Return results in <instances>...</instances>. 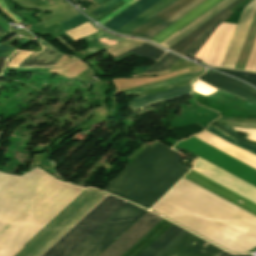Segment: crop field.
<instances>
[{"mask_svg": "<svg viewBox=\"0 0 256 256\" xmlns=\"http://www.w3.org/2000/svg\"><path fill=\"white\" fill-rule=\"evenodd\" d=\"M205 0H194L193 2H191L190 4H188L186 7H184L183 9H181L179 12H177L176 14H174L172 17H170L169 19H167L165 22H163L162 24H160L158 27H156L155 29H153L151 32H149L148 34H146L144 37L148 38V39H152L154 38L156 35H158L159 33H161L162 31H164L166 28H168L169 26H171L173 23H175L176 21H178L180 18H182L183 16H185L187 13H189L190 11H192L194 8H196L197 6H199L201 3H203Z\"/></svg>", "mask_w": 256, "mask_h": 256, "instance_id": "crop-field-19", "label": "crop field"}, {"mask_svg": "<svg viewBox=\"0 0 256 256\" xmlns=\"http://www.w3.org/2000/svg\"><path fill=\"white\" fill-rule=\"evenodd\" d=\"M219 1H221V0H207L206 2L201 4L199 7H197L195 10L190 12L188 15L183 17L181 20L176 22L174 25H172L168 29L166 28L167 30H165L161 34L159 33L160 35H158V36L156 35L157 37H155L154 39L152 38L153 39L152 41H154L158 44L162 43L164 40H166L171 35H173L177 31H179L181 28L186 26L188 23L193 21L195 18H197L198 16L203 14L205 11L210 9L212 6L217 4Z\"/></svg>", "mask_w": 256, "mask_h": 256, "instance_id": "crop-field-10", "label": "crop field"}, {"mask_svg": "<svg viewBox=\"0 0 256 256\" xmlns=\"http://www.w3.org/2000/svg\"><path fill=\"white\" fill-rule=\"evenodd\" d=\"M220 256H233V255L224 251ZM241 256H250V255H241Z\"/></svg>", "mask_w": 256, "mask_h": 256, "instance_id": "crop-field-33", "label": "crop field"}, {"mask_svg": "<svg viewBox=\"0 0 256 256\" xmlns=\"http://www.w3.org/2000/svg\"><path fill=\"white\" fill-rule=\"evenodd\" d=\"M192 0H176L171 5L163 9L161 12L156 14L154 17L149 19L147 22L139 26L137 29L132 31L130 35H138V36H144L146 33L151 31L153 28L158 26L160 23H162L164 20L169 18L171 15L176 13L178 10L183 8L185 5L190 3Z\"/></svg>", "mask_w": 256, "mask_h": 256, "instance_id": "crop-field-9", "label": "crop field"}, {"mask_svg": "<svg viewBox=\"0 0 256 256\" xmlns=\"http://www.w3.org/2000/svg\"><path fill=\"white\" fill-rule=\"evenodd\" d=\"M131 51L136 55H140V56H143V57H146L149 59H153V60H158L164 53L163 51H161L153 46L143 43V44H141V45H139V46L115 57V58L117 59Z\"/></svg>", "mask_w": 256, "mask_h": 256, "instance_id": "crop-field-23", "label": "crop field"}, {"mask_svg": "<svg viewBox=\"0 0 256 256\" xmlns=\"http://www.w3.org/2000/svg\"><path fill=\"white\" fill-rule=\"evenodd\" d=\"M107 193L88 189L14 256H41ZM125 201L108 194L42 256H66Z\"/></svg>", "mask_w": 256, "mask_h": 256, "instance_id": "crop-field-1", "label": "crop field"}, {"mask_svg": "<svg viewBox=\"0 0 256 256\" xmlns=\"http://www.w3.org/2000/svg\"><path fill=\"white\" fill-rule=\"evenodd\" d=\"M56 38L63 43L65 46H67L68 48L72 49L74 52H76L71 46H69L62 38H60L59 36H56Z\"/></svg>", "mask_w": 256, "mask_h": 256, "instance_id": "crop-field-32", "label": "crop field"}, {"mask_svg": "<svg viewBox=\"0 0 256 256\" xmlns=\"http://www.w3.org/2000/svg\"><path fill=\"white\" fill-rule=\"evenodd\" d=\"M185 178L256 215V204L205 178L204 176L191 170Z\"/></svg>", "mask_w": 256, "mask_h": 256, "instance_id": "crop-field-6", "label": "crop field"}, {"mask_svg": "<svg viewBox=\"0 0 256 256\" xmlns=\"http://www.w3.org/2000/svg\"><path fill=\"white\" fill-rule=\"evenodd\" d=\"M210 125H212V126L218 128V129H220V130H222V131L228 133L229 135H231V136H233V137H235V138H237V139H239V140H241V141H243V142H245V143L256 145L255 142H250V141H248V140H246V139H244V138L238 136L237 134H235V133H233V132H231V131L225 129L224 127H222V126H220V125H218V124H216V123H214V122H212Z\"/></svg>", "mask_w": 256, "mask_h": 256, "instance_id": "crop-field-29", "label": "crop field"}, {"mask_svg": "<svg viewBox=\"0 0 256 256\" xmlns=\"http://www.w3.org/2000/svg\"><path fill=\"white\" fill-rule=\"evenodd\" d=\"M88 22H90V21H88ZM90 23H91V25H92L94 28L98 29L97 27L94 26V23H92V22H90ZM98 30H100V29H98Z\"/></svg>", "mask_w": 256, "mask_h": 256, "instance_id": "crop-field-36", "label": "crop field"}, {"mask_svg": "<svg viewBox=\"0 0 256 256\" xmlns=\"http://www.w3.org/2000/svg\"><path fill=\"white\" fill-rule=\"evenodd\" d=\"M162 219L147 211L98 256H122Z\"/></svg>", "mask_w": 256, "mask_h": 256, "instance_id": "crop-field-4", "label": "crop field"}, {"mask_svg": "<svg viewBox=\"0 0 256 256\" xmlns=\"http://www.w3.org/2000/svg\"><path fill=\"white\" fill-rule=\"evenodd\" d=\"M105 34L104 32L100 31L98 33L93 34L92 36L86 38V41L89 45V47L85 48V50L92 56L102 50H104L103 46L98 42V40L95 38L96 36L100 35V34ZM109 37L112 38H116V39H120V40H124L123 38H118V37H114L108 34H105Z\"/></svg>", "mask_w": 256, "mask_h": 256, "instance_id": "crop-field-26", "label": "crop field"}, {"mask_svg": "<svg viewBox=\"0 0 256 256\" xmlns=\"http://www.w3.org/2000/svg\"><path fill=\"white\" fill-rule=\"evenodd\" d=\"M184 157L159 143L148 147L105 190L148 208L188 170L177 166Z\"/></svg>", "mask_w": 256, "mask_h": 256, "instance_id": "crop-field-2", "label": "crop field"}, {"mask_svg": "<svg viewBox=\"0 0 256 256\" xmlns=\"http://www.w3.org/2000/svg\"><path fill=\"white\" fill-rule=\"evenodd\" d=\"M256 12V0H253L244 9L239 24L237 26L236 32L230 44L229 50L225 57L222 66L233 68L238 57L239 51L243 44L244 38L248 31L249 25L251 23L252 17Z\"/></svg>", "mask_w": 256, "mask_h": 256, "instance_id": "crop-field-7", "label": "crop field"}, {"mask_svg": "<svg viewBox=\"0 0 256 256\" xmlns=\"http://www.w3.org/2000/svg\"><path fill=\"white\" fill-rule=\"evenodd\" d=\"M183 230L184 229L173 224L139 256H155Z\"/></svg>", "mask_w": 256, "mask_h": 256, "instance_id": "crop-field-16", "label": "crop field"}, {"mask_svg": "<svg viewBox=\"0 0 256 256\" xmlns=\"http://www.w3.org/2000/svg\"><path fill=\"white\" fill-rule=\"evenodd\" d=\"M4 35L3 30L0 28V36Z\"/></svg>", "mask_w": 256, "mask_h": 256, "instance_id": "crop-field-35", "label": "crop field"}, {"mask_svg": "<svg viewBox=\"0 0 256 256\" xmlns=\"http://www.w3.org/2000/svg\"><path fill=\"white\" fill-rule=\"evenodd\" d=\"M221 91L256 103V90L225 75L209 70L199 78Z\"/></svg>", "mask_w": 256, "mask_h": 256, "instance_id": "crop-field-5", "label": "crop field"}, {"mask_svg": "<svg viewBox=\"0 0 256 256\" xmlns=\"http://www.w3.org/2000/svg\"><path fill=\"white\" fill-rule=\"evenodd\" d=\"M172 223L162 220L148 234H146L136 245H134L123 256H138L145 248H147L156 238H158Z\"/></svg>", "mask_w": 256, "mask_h": 256, "instance_id": "crop-field-14", "label": "crop field"}, {"mask_svg": "<svg viewBox=\"0 0 256 256\" xmlns=\"http://www.w3.org/2000/svg\"><path fill=\"white\" fill-rule=\"evenodd\" d=\"M217 70H220L222 72H225V73H228L235 77H238V78L245 80V81L256 86V75L255 74H249V73L238 72V71H230V70H222V69H217Z\"/></svg>", "mask_w": 256, "mask_h": 256, "instance_id": "crop-field-28", "label": "crop field"}, {"mask_svg": "<svg viewBox=\"0 0 256 256\" xmlns=\"http://www.w3.org/2000/svg\"><path fill=\"white\" fill-rule=\"evenodd\" d=\"M191 93V87L188 86L171 90H165L149 95L145 94L141 97L131 100L128 104V108L137 112L147 106L169 101Z\"/></svg>", "mask_w": 256, "mask_h": 256, "instance_id": "crop-field-8", "label": "crop field"}, {"mask_svg": "<svg viewBox=\"0 0 256 256\" xmlns=\"http://www.w3.org/2000/svg\"><path fill=\"white\" fill-rule=\"evenodd\" d=\"M232 12H227L225 15L220 17L214 23H212L203 33H201L188 47H186L181 54H185L193 57L198 49L203 45L211 33L216 29V27L223 22ZM200 50V49H199ZM196 55V54H195Z\"/></svg>", "mask_w": 256, "mask_h": 256, "instance_id": "crop-field-18", "label": "crop field"}, {"mask_svg": "<svg viewBox=\"0 0 256 256\" xmlns=\"http://www.w3.org/2000/svg\"><path fill=\"white\" fill-rule=\"evenodd\" d=\"M178 60H179V58H177L169 53H165L162 56V58L153 67L148 69L144 74L167 70Z\"/></svg>", "mask_w": 256, "mask_h": 256, "instance_id": "crop-field-25", "label": "crop field"}, {"mask_svg": "<svg viewBox=\"0 0 256 256\" xmlns=\"http://www.w3.org/2000/svg\"><path fill=\"white\" fill-rule=\"evenodd\" d=\"M242 0H237L230 6H228L226 9L221 11L219 14L214 16L212 19L204 23L202 26L197 28L195 31L190 33L188 36L180 40L178 43L173 45L170 49L175 50L177 52H181L187 45H189L203 30H205L212 22H214L216 19H218L220 16H222L224 13H226L228 10H230L232 7H234L236 4H238ZM203 33V32H202Z\"/></svg>", "mask_w": 256, "mask_h": 256, "instance_id": "crop-field-21", "label": "crop field"}, {"mask_svg": "<svg viewBox=\"0 0 256 256\" xmlns=\"http://www.w3.org/2000/svg\"><path fill=\"white\" fill-rule=\"evenodd\" d=\"M122 0H109L108 2H106L103 6H101L99 9L97 8H88L86 11H84L85 13H87L91 18H93L94 20L99 17L100 15H102L103 13H105L106 11H108L110 8H112L113 6H115L117 3H119ZM97 9V10H96ZM96 10V11H94ZM94 11V12H93ZM93 12V13H91ZM94 15L95 17H93L92 15Z\"/></svg>", "mask_w": 256, "mask_h": 256, "instance_id": "crop-field-27", "label": "crop field"}, {"mask_svg": "<svg viewBox=\"0 0 256 256\" xmlns=\"http://www.w3.org/2000/svg\"><path fill=\"white\" fill-rule=\"evenodd\" d=\"M91 6L94 7V6H98V5H96L95 3H93Z\"/></svg>", "mask_w": 256, "mask_h": 256, "instance_id": "crop-field-37", "label": "crop field"}, {"mask_svg": "<svg viewBox=\"0 0 256 256\" xmlns=\"http://www.w3.org/2000/svg\"><path fill=\"white\" fill-rule=\"evenodd\" d=\"M172 1L174 0H162L161 2H159L157 5H155L154 7H152L150 10H148L147 12H145L143 15H141L140 17H138L137 19H135L133 22H131L130 24H128L126 27H124L123 29H121L118 33H122V34H127L129 33L131 30H133L134 28H136L138 25H140L141 23H143L144 21H146L148 18H150L151 16H153L155 13H157L158 11H160L162 8H164L165 6H167L168 4H170Z\"/></svg>", "mask_w": 256, "mask_h": 256, "instance_id": "crop-field-22", "label": "crop field"}, {"mask_svg": "<svg viewBox=\"0 0 256 256\" xmlns=\"http://www.w3.org/2000/svg\"><path fill=\"white\" fill-rule=\"evenodd\" d=\"M235 0H223L222 2H220L219 4H217L215 7H213L212 9H210L208 12H206L205 14H203L202 16H200L198 19H196L195 21H193L191 24H189L188 26H186L184 29H182L181 31H179L177 34H175L174 36H172L170 39H168L167 41H165L162 45L166 46V47H171L173 44H175L176 42H178L180 39H182L183 37H185L186 35H188L190 32H192L193 30H195L197 27H199L200 25H202L204 22H206L207 20H209L211 17H213L214 15H216L217 13H219L221 10H223L224 8H226L228 5H230L231 3H233Z\"/></svg>", "mask_w": 256, "mask_h": 256, "instance_id": "crop-field-11", "label": "crop field"}, {"mask_svg": "<svg viewBox=\"0 0 256 256\" xmlns=\"http://www.w3.org/2000/svg\"><path fill=\"white\" fill-rule=\"evenodd\" d=\"M148 68H144V67H137L134 68L132 74H143Z\"/></svg>", "mask_w": 256, "mask_h": 256, "instance_id": "crop-field-31", "label": "crop field"}, {"mask_svg": "<svg viewBox=\"0 0 256 256\" xmlns=\"http://www.w3.org/2000/svg\"><path fill=\"white\" fill-rule=\"evenodd\" d=\"M197 238L198 237L184 230L156 256H178Z\"/></svg>", "mask_w": 256, "mask_h": 256, "instance_id": "crop-field-15", "label": "crop field"}, {"mask_svg": "<svg viewBox=\"0 0 256 256\" xmlns=\"http://www.w3.org/2000/svg\"><path fill=\"white\" fill-rule=\"evenodd\" d=\"M144 212L126 202L68 256H96Z\"/></svg>", "mask_w": 256, "mask_h": 256, "instance_id": "crop-field-3", "label": "crop field"}, {"mask_svg": "<svg viewBox=\"0 0 256 256\" xmlns=\"http://www.w3.org/2000/svg\"><path fill=\"white\" fill-rule=\"evenodd\" d=\"M92 1H94V2H96V3H98V4H101V3L104 2L105 0H92Z\"/></svg>", "mask_w": 256, "mask_h": 256, "instance_id": "crop-field-34", "label": "crop field"}, {"mask_svg": "<svg viewBox=\"0 0 256 256\" xmlns=\"http://www.w3.org/2000/svg\"><path fill=\"white\" fill-rule=\"evenodd\" d=\"M16 49L8 46H0V57L10 56Z\"/></svg>", "mask_w": 256, "mask_h": 256, "instance_id": "crop-field-30", "label": "crop field"}, {"mask_svg": "<svg viewBox=\"0 0 256 256\" xmlns=\"http://www.w3.org/2000/svg\"><path fill=\"white\" fill-rule=\"evenodd\" d=\"M1 136H2V133H0V138H1Z\"/></svg>", "mask_w": 256, "mask_h": 256, "instance_id": "crop-field-38", "label": "crop field"}, {"mask_svg": "<svg viewBox=\"0 0 256 256\" xmlns=\"http://www.w3.org/2000/svg\"><path fill=\"white\" fill-rule=\"evenodd\" d=\"M203 72L204 71L195 72V73H191V74L179 77V78H174V79H170V80L160 82V83H157V84H154V85H150V86H147V87L131 90V91L126 92L125 95L130 96V95H133V94L137 93L139 96H141L145 93L154 91V90L159 89V88L169 87V86H173V85H177V84H181V83H184V82L191 81V80L197 78L198 76H200L201 74H203Z\"/></svg>", "mask_w": 256, "mask_h": 256, "instance_id": "crop-field-17", "label": "crop field"}, {"mask_svg": "<svg viewBox=\"0 0 256 256\" xmlns=\"http://www.w3.org/2000/svg\"><path fill=\"white\" fill-rule=\"evenodd\" d=\"M193 244L180 256H217L223 251L200 238Z\"/></svg>", "mask_w": 256, "mask_h": 256, "instance_id": "crop-field-20", "label": "crop field"}, {"mask_svg": "<svg viewBox=\"0 0 256 256\" xmlns=\"http://www.w3.org/2000/svg\"><path fill=\"white\" fill-rule=\"evenodd\" d=\"M158 0H139L134 5L107 22L104 26L116 31ZM160 1V0H159ZM156 4V3H155ZM153 6V5H152ZM146 11V10H145ZM143 13V12H142ZM139 16V15H138ZM136 18V17H135ZM132 21V20H131Z\"/></svg>", "mask_w": 256, "mask_h": 256, "instance_id": "crop-field-13", "label": "crop field"}, {"mask_svg": "<svg viewBox=\"0 0 256 256\" xmlns=\"http://www.w3.org/2000/svg\"><path fill=\"white\" fill-rule=\"evenodd\" d=\"M207 131H209V132H211V133H213V134H215V135H217V136H219V137H221V138H223V139H225V140H227V141H229V142H231V143H233V144H235V145H237V146H239V147H241V148H243V149H245V150H247V151L256 155V146L245 144V143L227 135L226 133H224V132H222V131H220V130L212 127V126H209Z\"/></svg>", "mask_w": 256, "mask_h": 256, "instance_id": "crop-field-24", "label": "crop field"}, {"mask_svg": "<svg viewBox=\"0 0 256 256\" xmlns=\"http://www.w3.org/2000/svg\"><path fill=\"white\" fill-rule=\"evenodd\" d=\"M37 41L47 48L38 54L31 53L21 67H52L63 56L40 39Z\"/></svg>", "mask_w": 256, "mask_h": 256, "instance_id": "crop-field-12", "label": "crop field"}]
</instances>
